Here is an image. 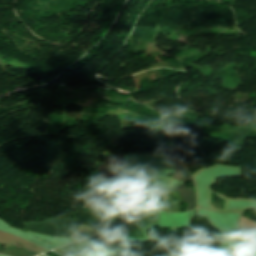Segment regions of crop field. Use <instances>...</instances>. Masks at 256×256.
Instances as JSON below:
<instances>
[{
    "instance_id": "crop-field-1",
    "label": "crop field",
    "mask_w": 256,
    "mask_h": 256,
    "mask_svg": "<svg viewBox=\"0 0 256 256\" xmlns=\"http://www.w3.org/2000/svg\"><path fill=\"white\" fill-rule=\"evenodd\" d=\"M82 223L74 219H47L43 223L30 222L25 223L24 226L27 230L39 232L50 236H70ZM2 245L6 249L1 248ZM0 254L8 256H36L38 254L18 247L14 244L0 243Z\"/></svg>"
},
{
    "instance_id": "crop-field-2",
    "label": "crop field",
    "mask_w": 256,
    "mask_h": 256,
    "mask_svg": "<svg viewBox=\"0 0 256 256\" xmlns=\"http://www.w3.org/2000/svg\"><path fill=\"white\" fill-rule=\"evenodd\" d=\"M124 155L106 157L105 164L101 165L98 169L101 171L99 177H116L119 167H123ZM178 163H174L175 173L172 176V180L189 181L191 180L189 171L184 161L178 159Z\"/></svg>"
},
{
    "instance_id": "crop-field-3",
    "label": "crop field",
    "mask_w": 256,
    "mask_h": 256,
    "mask_svg": "<svg viewBox=\"0 0 256 256\" xmlns=\"http://www.w3.org/2000/svg\"><path fill=\"white\" fill-rule=\"evenodd\" d=\"M175 190L179 192L183 202L187 203L188 208L186 211L192 210L195 204V195L193 190L188 189L185 182H183ZM120 224L121 223L109 222L106 229L104 228L105 230L100 234L102 241L109 242L112 238L115 239Z\"/></svg>"
},
{
    "instance_id": "crop-field-4",
    "label": "crop field",
    "mask_w": 256,
    "mask_h": 256,
    "mask_svg": "<svg viewBox=\"0 0 256 256\" xmlns=\"http://www.w3.org/2000/svg\"><path fill=\"white\" fill-rule=\"evenodd\" d=\"M82 195L87 200L85 207H94L101 209L111 208L109 200V189L85 191V193Z\"/></svg>"
},
{
    "instance_id": "crop-field-5",
    "label": "crop field",
    "mask_w": 256,
    "mask_h": 256,
    "mask_svg": "<svg viewBox=\"0 0 256 256\" xmlns=\"http://www.w3.org/2000/svg\"><path fill=\"white\" fill-rule=\"evenodd\" d=\"M100 241H101L100 237L99 235H97L83 241L68 244L65 246L64 250L66 251L88 250L93 248Z\"/></svg>"
}]
</instances>
